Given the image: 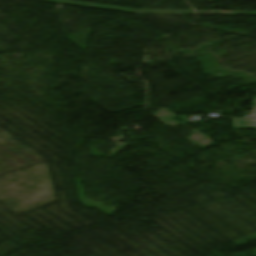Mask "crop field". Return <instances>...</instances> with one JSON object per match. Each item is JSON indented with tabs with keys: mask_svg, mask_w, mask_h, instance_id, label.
Masks as SVG:
<instances>
[{
	"mask_svg": "<svg viewBox=\"0 0 256 256\" xmlns=\"http://www.w3.org/2000/svg\"><path fill=\"white\" fill-rule=\"evenodd\" d=\"M234 128H256V120L251 119H243V120H235L233 119Z\"/></svg>",
	"mask_w": 256,
	"mask_h": 256,
	"instance_id": "1",
	"label": "crop field"
},
{
	"mask_svg": "<svg viewBox=\"0 0 256 256\" xmlns=\"http://www.w3.org/2000/svg\"><path fill=\"white\" fill-rule=\"evenodd\" d=\"M255 110L249 115V118H256V98H254Z\"/></svg>",
	"mask_w": 256,
	"mask_h": 256,
	"instance_id": "2",
	"label": "crop field"
}]
</instances>
